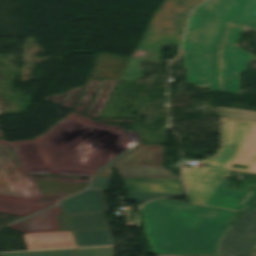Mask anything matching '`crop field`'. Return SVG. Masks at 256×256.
Segmentation results:
<instances>
[{
    "label": "crop field",
    "mask_w": 256,
    "mask_h": 256,
    "mask_svg": "<svg viewBox=\"0 0 256 256\" xmlns=\"http://www.w3.org/2000/svg\"><path fill=\"white\" fill-rule=\"evenodd\" d=\"M228 23L220 89V53ZM246 24L256 29V0H208L193 11L182 48L189 83L240 94L239 73L253 60L252 54L237 46L242 31L239 26Z\"/></svg>",
    "instance_id": "1"
},
{
    "label": "crop field",
    "mask_w": 256,
    "mask_h": 256,
    "mask_svg": "<svg viewBox=\"0 0 256 256\" xmlns=\"http://www.w3.org/2000/svg\"><path fill=\"white\" fill-rule=\"evenodd\" d=\"M153 254L218 255L234 211L160 199L141 208Z\"/></svg>",
    "instance_id": "2"
},
{
    "label": "crop field",
    "mask_w": 256,
    "mask_h": 256,
    "mask_svg": "<svg viewBox=\"0 0 256 256\" xmlns=\"http://www.w3.org/2000/svg\"><path fill=\"white\" fill-rule=\"evenodd\" d=\"M203 0H166L154 15L136 50L147 51L146 56L130 60L120 80H136L141 77V63H159L161 49L165 45L179 47L187 23V9H193Z\"/></svg>",
    "instance_id": "3"
},
{
    "label": "crop field",
    "mask_w": 256,
    "mask_h": 256,
    "mask_svg": "<svg viewBox=\"0 0 256 256\" xmlns=\"http://www.w3.org/2000/svg\"><path fill=\"white\" fill-rule=\"evenodd\" d=\"M209 171H212L209 174ZM224 176H231L229 171L193 166L183 169V178L188 189L189 201L234 211H242V205L251 193L227 188Z\"/></svg>",
    "instance_id": "4"
},
{
    "label": "crop field",
    "mask_w": 256,
    "mask_h": 256,
    "mask_svg": "<svg viewBox=\"0 0 256 256\" xmlns=\"http://www.w3.org/2000/svg\"><path fill=\"white\" fill-rule=\"evenodd\" d=\"M223 120L219 154L198 166L256 173V123ZM233 163L249 165L248 170L231 168Z\"/></svg>",
    "instance_id": "5"
},
{
    "label": "crop field",
    "mask_w": 256,
    "mask_h": 256,
    "mask_svg": "<svg viewBox=\"0 0 256 256\" xmlns=\"http://www.w3.org/2000/svg\"><path fill=\"white\" fill-rule=\"evenodd\" d=\"M164 147L162 145H140L97 176H113L117 167L121 177L178 178L161 165Z\"/></svg>",
    "instance_id": "6"
},
{
    "label": "crop field",
    "mask_w": 256,
    "mask_h": 256,
    "mask_svg": "<svg viewBox=\"0 0 256 256\" xmlns=\"http://www.w3.org/2000/svg\"><path fill=\"white\" fill-rule=\"evenodd\" d=\"M219 255L256 256V208L242 214L224 235Z\"/></svg>",
    "instance_id": "7"
},
{
    "label": "crop field",
    "mask_w": 256,
    "mask_h": 256,
    "mask_svg": "<svg viewBox=\"0 0 256 256\" xmlns=\"http://www.w3.org/2000/svg\"><path fill=\"white\" fill-rule=\"evenodd\" d=\"M124 183L131 201L135 202L180 196L185 193L180 180L126 178Z\"/></svg>",
    "instance_id": "8"
},
{
    "label": "crop field",
    "mask_w": 256,
    "mask_h": 256,
    "mask_svg": "<svg viewBox=\"0 0 256 256\" xmlns=\"http://www.w3.org/2000/svg\"><path fill=\"white\" fill-rule=\"evenodd\" d=\"M66 214L105 212L107 208L102 190L91 189L63 202Z\"/></svg>",
    "instance_id": "9"
},
{
    "label": "crop field",
    "mask_w": 256,
    "mask_h": 256,
    "mask_svg": "<svg viewBox=\"0 0 256 256\" xmlns=\"http://www.w3.org/2000/svg\"><path fill=\"white\" fill-rule=\"evenodd\" d=\"M29 250L76 247L71 232L26 234Z\"/></svg>",
    "instance_id": "10"
},
{
    "label": "crop field",
    "mask_w": 256,
    "mask_h": 256,
    "mask_svg": "<svg viewBox=\"0 0 256 256\" xmlns=\"http://www.w3.org/2000/svg\"><path fill=\"white\" fill-rule=\"evenodd\" d=\"M71 231L110 229L103 213L78 214L67 216ZM61 230L70 231L66 217L57 216Z\"/></svg>",
    "instance_id": "11"
},
{
    "label": "crop field",
    "mask_w": 256,
    "mask_h": 256,
    "mask_svg": "<svg viewBox=\"0 0 256 256\" xmlns=\"http://www.w3.org/2000/svg\"><path fill=\"white\" fill-rule=\"evenodd\" d=\"M79 247L114 245L110 230L73 232Z\"/></svg>",
    "instance_id": "12"
},
{
    "label": "crop field",
    "mask_w": 256,
    "mask_h": 256,
    "mask_svg": "<svg viewBox=\"0 0 256 256\" xmlns=\"http://www.w3.org/2000/svg\"><path fill=\"white\" fill-rule=\"evenodd\" d=\"M214 110L217 111L219 115H223L222 117L224 118L256 122V112L254 111H246V110L223 108V107H217Z\"/></svg>",
    "instance_id": "13"
},
{
    "label": "crop field",
    "mask_w": 256,
    "mask_h": 256,
    "mask_svg": "<svg viewBox=\"0 0 256 256\" xmlns=\"http://www.w3.org/2000/svg\"><path fill=\"white\" fill-rule=\"evenodd\" d=\"M1 256H76V250L0 254Z\"/></svg>",
    "instance_id": "14"
},
{
    "label": "crop field",
    "mask_w": 256,
    "mask_h": 256,
    "mask_svg": "<svg viewBox=\"0 0 256 256\" xmlns=\"http://www.w3.org/2000/svg\"><path fill=\"white\" fill-rule=\"evenodd\" d=\"M111 247L92 248V249H78L77 256H111Z\"/></svg>",
    "instance_id": "15"
},
{
    "label": "crop field",
    "mask_w": 256,
    "mask_h": 256,
    "mask_svg": "<svg viewBox=\"0 0 256 256\" xmlns=\"http://www.w3.org/2000/svg\"><path fill=\"white\" fill-rule=\"evenodd\" d=\"M111 178L105 177H96L92 187L101 188V189H109Z\"/></svg>",
    "instance_id": "16"
},
{
    "label": "crop field",
    "mask_w": 256,
    "mask_h": 256,
    "mask_svg": "<svg viewBox=\"0 0 256 256\" xmlns=\"http://www.w3.org/2000/svg\"><path fill=\"white\" fill-rule=\"evenodd\" d=\"M256 199V189L255 191L251 194V196L246 200L244 204L250 205L254 200Z\"/></svg>",
    "instance_id": "17"
}]
</instances>
